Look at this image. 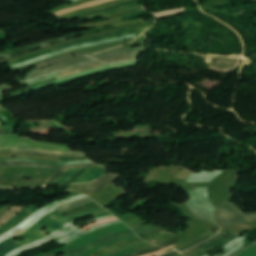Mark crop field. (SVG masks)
<instances>
[{"mask_svg":"<svg viewBox=\"0 0 256 256\" xmlns=\"http://www.w3.org/2000/svg\"><path fill=\"white\" fill-rule=\"evenodd\" d=\"M46 232L42 231V230H39L35 227H30L28 230L12 237L11 239L13 240L15 237H23L25 238L26 240L21 242V241H18L16 242L17 244L21 245V246H24L30 242H33V241H36L38 239H42L44 238L46 235H45ZM14 241V240H13Z\"/></svg>","mask_w":256,"mask_h":256,"instance_id":"crop-field-11","label":"crop field"},{"mask_svg":"<svg viewBox=\"0 0 256 256\" xmlns=\"http://www.w3.org/2000/svg\"><path fill=\"white\" fill-rule=\"evenodd\" d=\"M135 3H137L136 0H130V1H126V2H123V3H120V4H116V5L107 7V8L98 9V10H94V11H91V12L71 16V17L66 18V20H73V19L80 18V17H83V16H88V15H92V14H95V13H99V12H103V11H107V10H111V9H115V8H119V7H123V6H127V5H131V4H135Z\"/></svg>","mask_w":256,"mask_h":256,"instance_id":"crop-field-21","label":"crop field"},{"mask_svg":"<svg viewBox=\"0 0 256 256\" xmlns=\"http://www.w3.org/2000/svg\"><path fill=\"white\" fill-rule=\"evenodd\" d=\"M188 192L192 199L186 202V204L192 213L215 224L213 220V211L215 208L209 202L206 187H199L194 191L188 190Z\"/></svg>","mask_w":256,"mask_h":256,"instance_id":"crop-field-2","label":"crop field"},{"mask_svg":"<svg viewBox=\"0 0 256 256\" xmlns=\"http://www.w3.org/2000/svg\"><path fill=\"white\" fill-rule=\"evenodd\" d=\"M145 15H148V13H146L145 11H142V12H138L136 14L125 16V17H122V18H123V20H129V19H134V18H138V17H141V16H145Z\"/></svg>","mask_w":256,"mask_h":256,"instance_id":"crop-field-38","label":"crop field"},{"mask_svg":"<svg viewBox=\"0 0 256 256\" xmlns=\"http://www.w3.org/2000/svg\"><path fill=\"white\" fill-rule=\"evenodd\" d=\"M11 160H24V161H33V162L57 164V165L83 164V163L93 162L91 160H82V161H73V162H51V161L33 160V159H24V158H4V159H2V161H11Z\"/></svg>","mask_w":256,"mask_h":256,"instance_id":"crop-field-22","label":"crop field"},{"mask_svg":"<svg viewBox=\"0 0 256 256\" xmlns=\"http://www.w3.org/2000/svg\"><path fill=\"white\" fill-rule=\"evenodd\" d=\"M135 61H137V60L122 61V62H116V63H111V64L131 63V62H135Z\"/></svg>","mask_w":256,"mask_h":256,"instance_id":"crop-field-56","label":"crop field"},{"mask_svg":"<svg viewBox=\"0 0 256 256\" xmlns=\"http://www.w3.org/2000/svg\"><path fill=\"white\" fill-rule=\"evenodd\" d=\"M85 200H89V198L82 199V200H79V201L70 203V204H68V205H65V206H62V207H60V208H57V210L59 211V210H61V209H63V208H66V207H68V206H70V205H73V204H76V203H80V202H83V201H85Z\"/></svg>","mask_w":256,"mask_h":256,"instance_id":"crop-field-49","label":"crop field"},{"mask_svg":"<svg viewBox=\"0 0 256 256\" xmlns=\"http://www.w3.org/2000/svg\"><path fill=\"white\" fill-rule=\"evenodd\" d=\"M136 58H137V57H125V58L107 60V61H103V62H105V63H110V62H116V61H122V60H130V59H136Z\"/></svg>","mask_w":256,"mask_h":256,"instance_id":"crop-field-45","label":"crop field"},{"mask_svg":"<svg viewBox=\"0 0 256 256\" xmlns=\"http://www.w3.org/2000/svg\"><path fill=\"white\" fill-rule=\"evenodd\" d=\"M131 252H133V249L127 250V251H125V252H123V253H120V254H118V255H115V256H124V255H126V254H128V253H131Z\"/></svg>","mask_w":256,"mask_h":256,"instance_id":"crop-field-55","label":"crop field"},{"mask_svg":"<svg viewBox=\"0 0 256 256\" xmlns=\"http://www.w3.org/2000/svg\"><path fill=\"white\" fill-rule=\"evenodd\" d=\"M138 6H140L139 3H138V4H135V5H131V6H127V7H123V8H119V9H115V10H111V11H108V12H104V13H101V14H97V15H93V16H88V17H84V18L101 17V16H104V15L116 13V12H119V11H122V10L130 9V8H134V7H138Z\"/></svg>","mask_w":256,"mask_h":256,"instance_id":"crop-field-31","label":"crop field"},{"mask_svg":"<svg viewBox=\"0 0 256 256\" xmlns=\"http://www.w3.org/2000/svg\"><path fill=\"white\" fill-rule=\"evenodd\" d=\"M10 152L24 153V154H36V155H43V156H56V157H81V156H86V154L62 155V154L42 153V152H36V151H30V150H10Z\"/></svg>","mask_w":256,"mask_h":256,"instance_id":"crop-field-23","label":"crop field"},{"mask_svg":"<svg viewBox=\"0 0 256 256\" xmlns=\"http://www.w3.org/2000/svg\"><path fill=\"white\" fill-rule=\"evenodd\" d=\"M149 27L150 26L139 28V29H135V30H131V31H126V32L114 33V34H110V35H106V36H102V37H98V38L87 39V40H83V41H79V42H75V43L66 44V45H63L61 47H58V48H55V49H51V50H48V51H45V52H42V53L30 56V57L24 58V59L8 62V65L20 63V62H23V61H26V60H29V59L41 56V55L49 53V52L57 51V50H60V49H63V48L69 47V46L77 45V44H82V43L92 42V41H96V40L113 38V37H117V36H121V35H126V34L136 33V32H140V31H145Z\"/></svg>","mask_w":256,"mask_h":256,"instance_id":"crop-field-6","label":"crop field"},{"mask_svg":"<svg viewBox=\"0 0 256 256\" xmlns=\"http://www.w3.org/2000/svg\"><path fill=\"white\" fill-rule=\"evenodd\" d=\"M86 196L81 194L79 196H74V197H69V198H65L62 200H59L57 202L48 204L44 207H42L41 209H39L37 212H35L33 215H31L25 222H23L21 225L15 227L14 229H12L11 231L3 234L0 236V242H2L5 239H8L20 232H22L23 230L27 229L28 227L32 226L33 224H35L36 222H38L43 216L55 211V208L68 204L70 202L85 198Z\"/></svg>","mask_w":256,"mask_h":256,"instance_id":"crop-field-3","label":"crop field"},{"mask_svg":"<svg viewBox=\"0 0 256 256\" xmlns=\"http://www.w3.org/2000/svg\"><path fill=\"white\" fill-rule=\"evenodd\" d=\"M96 207H100V206L96 205V206H93V207L85 208V209H82V210H80L78 212H75V213H73L71 215H67V217L83 213L85 211L91 210V209L96 208Z\"/></svg>","mask_w":256,"mask_h":256,"instance_id":"crop-field-47","label":"crop field"},{"mask_svg":"<svg viewBox=\"0 0 256 256\" xmlns=\"http://www.w3.org/2000/svg\"><path fill=\"white\" fill-rule=\"evenodd\" d=\"M166 250H168V249L160 250V251H157V252H155V253H151V254L144 255V256H157V255H159V254L164 253Z\"/></svg>","mask_w":256,"mask_h":256,"instance_id":"crop-field-51","label":"crop field"},{"mask_svg":"<svg viewBox=\"0 0 256 256\" xmlns=\"http://www.w3.org/2000/svg\"><path fill=\"white\" fill-rule=\"evenodd\" d=\"M149 227H151V226L149 224H147L145 226H141V227H138V228L134 229V232L137 233V232H139L143 229L149 228Z\"/></svg>","mask_w":256,"mask_h":256,"instance_id":"crop-field-52","label":"crop field"},{"mask_svg":"<svg viewBox=\"0 0 256 256\" xmlns=\"http://www.w3.org/2000/svg\"><path fill=\"white\" fill-rule=\"evenodd\" d=\"M103 66H108L107 64H103V65H99V66H95V67H91V68H87V69H84V70H81V71H77V72H73V73H69V74H65L59 78H57L56 80L58 79H61V78H64V77H68V76H71V75H74V74H77V73H80V72H83V71H87V70H91V69H95V68H99V67H103Z\"/></svg>","mask_w":256,"mask_h":256,"instance_id":"crop-field-37","label":"crop field"},{"mask_svg":"<svg viewBox=\"0 0 256 256\" xmlns=\"http://www.w3.org/2000/svg\"><path fill=\"white\" fill-rule=\"evenodd\" d=\"M106 172V168H92L87 174H85L83 177H81L79 180H77L75 183H84V182H90L93 181L102 175H104Z\"/></svg>","mask_w":256,"mask_h":256,"instance_id":"crop-field-20","label":"crop field"},{"mask_svg":"<svg viewBox=\"0 0 256 256\" xmlns=\"http://www.w3.org/2000/svg\"><path fill=\"white\" fill-rule=\"evenodd\" d=\"M72 2H74V1H77V0H71Z\"/></svg>","mask_w":256,"mask_h":256,"instance_id":"crop-field-63","label":"crop field"},{"mask_svg":"<svg viewBox=\"0 0 256 256\" xmlns=\"http://www.w3.org/2000/svg\"><path fill=\"white\" fill-rule=\"evenodd\" d=\"M169 248H171V247H169Z\"/></svg>","mask_w":256,"mask_h":256,"instance_id":"crop-field-67","label":"crop field"},{"mask_svg":"<svg viewBox=\"0 0 256 256\" xmlns=\"http://www.w3.org/2000/svg\"><path fill=\"white\" fill-rule=\"evenodd\" d=\"M134 37H136L135 34L130 35V36H125V37H120V38H114V39H108V40H102V41L87 43V44H83V45H78V46L67 48V49H64V50H61V51L54 52L52 54H48V55H45V56H42V57H38V58L29 60V61H26V62H23V63H20V64L11 65L10 68L11 69L17 68V67H20V66H23V65H26V64H30V63H33V62H36V61H39V60H42V59H46V58H49V57L61 54V53L66 52V51L75 50V49H79V48H83V47H88V46H92V45H97V44H102V43H108V42H114V41L134 38Z\"/></svg>","mask_w":256,"mask_h":256,"instance_id":"crop-field-7","label":"crop field"},{"mask_svg":"<svg viewBox=\"0 0 256 256\" xmlns=\"http://www.w3.org/2000/svg\"><path fill=\"white\" fill-rule=\"evenodd\" d=\"M66 170L58 169L55 174L43 185H52L55 181H57L64 173Z\"/></svg>","mask_w":256,"mask_h":256,"instance_id":"crop-field-32","label":"crop field"},{"mask_svg":"<svg viewBox=\"0 0 256 256\" xmlns=\"http://www.w3.org/2000/svg\"><path fill=\"white\" fill-rule=\"evenodd\" d=\"M134 55H139V53L138 54H132V55H121V56L103 58V59H99V60L102 61V60H106V59H113V58H119V57H125V56H134Z\"/></svg>","mask_w":256,"mask_h":256,"instance_id":"crop-field-53","label":"crop field"},{"mask_svg":"<svg viewBox=\"0 0 256 256\" xmlns=\"http://www.w3.org/2000/svg\"><path fill=\"white\" fill-rule=\"evenodd\" d=\"M99 64H103V63H102V62H98V63H93V64L85 65V66H83V67H80V68H77V69H74V70H70V71L61 73V75L65 74V73H68V72L75 71V70H79V69H81V68H87V67H91V66H95V65H99Z\"/></svg>","mask_w":256,"mask_h":256,"instance_id":"crop-field-46","label":"crop field"},{"mask_svg":"<svg viewBox=\"0 0 256 256\" xmlns=\"http://www.w3.org/2000/svg\"><path fill=\"white\" fill-rule=\"evenodd\" d=\"M111 213H112V214H115V212H114V211H111Z\"/></svg>","mask_w":256,"mask_h":256,"instance_id":"crop-field-62","label":"crop field"},{"mask_svg":"<svg viewBox=\"0 0 256 256\" xmlns=\"http://www.w3.org/2000/svg\"><path fill=\"white\" fill-rule=\"evenodd\" d=\"M0 117H2V116H0Z\"/></svg>","mask_w":256,"mask_h":256,"instance_id":"crop-field-66","label":"crop field"},{"mask_svg":"<svg viewBox=\"0 0 256 256\" xmlns=\"http://www.w3.org/2000/svg\"><path fill=\"white\" fill-rule=\"evenodd\" d=\"M145 51H146V47H135V48L122 49V50H115V51H110V52H103L100 54L91 55L90 57H94V58L98 59V58H103V57L136 53V52H145Z\"/></svg>","mask_w":256,"mask_h":256,"instance_id":"crop-field-18","label":"crop field"},{"mask_svg":"<svg viewBox=\"0 0 256 256\" xmlns=\"http://www.w3.org/2000/svg\"><path fill=\"white\" fill-rule=\"evenodd\" d=\"M158 229H160V228L157 227V226H155V227H153V228L146 229V230H144V231H142V232H139V233H137V235H138L139 237H141L142 235H146V234L151 233V232H154V231H156V230H158Z\"/></svg>","mask_w":256,"mask_h":256,"instance_id":"crop-field-42","label":"crop field"},{"mask_svg":"<svg viewBox=\"0 0 256 256\" xmlns=\"http://www.w3.org/2000/svg\"><path fill=\"white\" fill-rule=\"evenodd\" d=\"M89 1H92V0H79V1H77L75 3H73V4H70V5H67V6L60 7V8H57L55 10H52L51 13H54V12H57V11H60V10H63V9L69 8V7L81 5V4L87 3Z\"/></svg>","mask_w":256,"mask_h":256,"instance_id":"crop-field-35","label":"crop field"},{"mask_svg":"<svg viewBox=\"0 0 256 256\" xmlns=\"http://www.w3.org/2000/svg\"><path fill=\"white\" fill-rule=\"evenodd\" d=\"M0 128H6V126H0Z\"/></svg>","mask_w":256,"mask_h":256,"instance_id":"crop-field-60","label":"crop field"},{"mask_svg":"<svg viewBox=\"0 0 256 256\" xmlns=\"http://www.w3.org/2000/svg\"><path fill=\"white\" fill-rule=\"evenodd\" d=\"M93 62H97V60L90 61V62H86V63H82V64H78V65L71 66V67H68V68H65V69H61V70H58V71H55V72H51V73H48V74L39 76V77H37V78L31 79V80H28V81H25V82L28 83V82L37 80V79H39V78H45V77H47V76L54 75V74H57V73H61V72L70 70V69H72V68L79 67V66H83V65H85V64H89V63H93Z\"/></svg>","mask_w":256,"mask_h":256,"instance_id":"crop-field-29","label":"crop field"},{"mask_svg":"<svg viewBox=\"0 0 256 256\" xmlns=\"http://www.w3.org/2000/svg\"><path fill=\"white\" fill-rule=\"evenodd\" d=\"M160 249H164V248L156 247V248H152V249H147V250H143V251L134 252V253H131L127 256H140V255L147 254V253H150V252H154V251H157V250H160Z\"/></svg>","mask_w":256,"mask_h":256,"instance_id":"crop-field-36","label":"crop field"},{"mask_svg":"<svg viewBox=\"0 0 256 256\" xmlns=\"http://www.w3.org/2000/svg\"><path fill=\"white\" fill-rule=\"evenodd\" d=\"M123 1H126V0H117V1L110 2V3L102 4V5H98V6H94V7H89V8L84 9V10H79V11L71 12V13L65 14V15H63V16H60L59 19L64 18V17L71 16V15H75V14L87 12V11H90V10H94V9H98V8L107 7V6H110V5L119 3V2H123Z\"/></svg>","mask_w":256,"mask_h":256,"instance_id":"crop-field-25","label":"crop field"},{"mask_svg":"<svg viewBox=\"0 0 256 256\" xmlns=\"http://www.w3.org/2000/svg\"><path fill=\"white\" fill-rule=\"evenodd\" d=\"M90 60H94V59L88 58V57H85V56L75 58L71 61H68V62H65V63H62V64H58V65H55V66H52V67H49V68H46V69H40L38 71L32 72L28 75V77L26 79H30V78H33V77H36V76H39V75H42V74H45V73H48V72H51V71H55V70H58V69H61V68H65V67H68V66H71V65H75V64L90 61Z\"/></svg>","mask_w":256,"mask_h":256,"instance_id":"crop-field-9","label":"crop field"},{"mask_svg":"<svg viewBox=\"0 0 256 256\" xmlns=\"http://www.w3.org/2000/svg\"><path fill=\"white\" fill-rule=\"evenodd\" d=\"M239 233H232V232H228L225 236L221 237L220 239L214 241L211 244H208L204 247H202L201 249H199L198 253L192 255V256H202L210 251H212L213 249L227 243L228 241H230L231 239H233L234 237H236Z\"/></svg>","mask_w":256,"mask_h":256,"instance_id":"crop-field-13","label":"crop field"},{"mask_svg":"<svg viewBox=\"0 0 256 256\" xmlns=\"http://www.w3.org/2000/svg\"><path fill=\"white\" fill-rule=\"evenodd\" d=\"M213 236H215L214 233L211 234V235H209V236H207V237H205V238H203V239L200 240L199 242L194 243V244H191V245H189V246H187V247H185V248H183V249H181V250H182V251L188 250V249L192 248L193 246H195V245H197V244H199V243H201V242H203V241H205V240H207V239H209V238H211V237H213Z\"/></svg>","mask_w":256,"mask_h":256,"instance_id":"crop-field-41","label":"crop field"},{"mask_svg":"<svg viewBox=\"0 0 256 256\" xmlns=\"http://www.w3.org/2000/svg\"><path fill=\"white\" fill-rule=\"evenodd\" d=\"M177 255H179V253L177 251H172L169 254L162 255V256H177Z\"/></svg>","mask_w":256,"mask_h":256,"instance_id":"crop-field-54","label":"crop field"},{"mask_svg":"<svg viewBox=\"0 0 256 256\" xmlns=\"http://www.w3.org/2000/svg\"><path fill=\"white\" fill-rule=\"evenodd\" d=\"M110 1H113V0H98V1H94V2H89V3L81 5V6H77V7H73V8H69V9L57 12V13H55V15L59 16V15H62V14H65V13H68V12H71L74 10H78V9L89 7L91 5L106 3V2H110Z\"/></svg>","mask_w":256,"mask_h":256,"instance_id":"crop-field-26","label":"crop field"},{"mask_svg":"<svg viewBox=\"0 0 256 256\" xmlns=\"http://www.w3.org/2000/svg\"><path fill=\"white\" fill-rule=\"evenodd\" d=\"M15 135H19V134H15ZM0 136H12V135H0Z\"/></svg>","mask_w":256,"mask_h":256,"instance_id":"crop-field-59","label":"crop field"},{"mask_svg":"<svg viewBox=\"0 0 256 256\" xmlns=\"http://www.w3.org/2000/svg\"><path fill=\"white\" fill-rule=\"evenodd\" d=\"M22 209L19 207H12L1 219H0V226L8 222L10 219L15 217Z\"/></svg>","mask_w":256,"mask_h":256,"instance_id":"crop-field-27","label":"crop field"},{"mask_svg":"<svg viewBox=\"0 0 256 256\" xmlns=\"http://www.w3.org/2000/svg\"><path fill=\"white\" fill-rule=\"evenodd\" d=\"M111 217H114V216L110 215V216H105V217L93 219L91 221L86 222V224L80 226L79 228H81V227H83V226H85L87 224L93 223L95 221H98V220H101V219H105V218H111ZM73 223H75V221L69 223L68 225L63 226L62 228H60V229H58V230H56L54 232H52L46 238H44V239H42L40 241H37V242H33V243H31V244H29L27 246L21 247V248L15 250V251L9 253L7 256H15V255H17L19 253H22V252H25L27 250H30V249L36 248L38 246L44 245V244H46V243H48V242H50V241H52V240H54V239H56V238H58L60 236H63L65 234H67V233L73 231L74 229L78 228V227L73 226L72 225Z\"/></svg>","mask_w":256,"mask_h":256,"instance_id":"crop-field-4","label":"crop field"},{"mask_svg":"<svg viewBox=\"0 0 256 256\" xmlns=\"http://www.w3.org/2000/svg\"><path fill=\"white\" fill-rule=\"evenodd\" d=\"M39 208L34 206H29L26 209H24L20 214H18L15 218H13L11 221L6 223L4 226L0 228V234L8 231L9 229L17 226L21 222H23L27 217H29L31 214H33L36 210Z\"/></svg>","mask_w":256,"mask_h":256,"instance_id":"crop-field-10","label":"crop field"},{"mask_svg":"<svg viewBox=\"0 0 256 256\" xmlns=\"http://www.w3.org/2000/svg\"><path fill=\"white\" fill-rule=\"evenodd\" d=\"M104 215H109L108 213H105V214H100V215H96V216H93V217H100V216H104Z\"/></svg>","mask_w":256,"mask_h":256,"instance_id":"crop-field-57","label":"crop field"},{"mask_svg":"<svg viewBox=\"0 0 256 256\" xmlns=\"http://www.w3.org/2000/svg\"><path fill=\"white\" fill-rule=\"evenodd\" d=\"M91 168H84L79 170L78 172L75 173V175L73 177H71L70 179H68L65 183L63 184H67V183H73L74 181H76L78 178H80L82 175H84L86 172H88Z\"/></svg>","mask_w":256,"mask_h":256,"instance_id":"crop-field-33","label":"crop field"},{"mask_svg":"<svg viewBox=\"0 0 256 256\" xmlns=\"http://www.w3.org/2000/svg\"><path fill=\"white\" fill-rule=\"evenodd\" d=\"M119 221L108 222V223H105V224H102V225H98V226L90 228V229H88L84 232H82L80 229H76L74 232L69 233V234L59 238L57 241H55V243L65 245V244H67V243H69V242H71V241H73V240H75V239H77V238H79V237H81V236L99 228V227H104V226H108V225H111V224L120 223Z\"/></svg>","mask_w":256,"mask_h":256,"instance_id":"crop-field-12","label":"crop field"},{"mask_svg":"<svg viewBox=\"0 0 256 256\" xmlns=\"http://www.w3.org/2000/svg\"><path fill=\"white\" fill-rule=\"evenodd\" d=\"M2 166H34V167H53V168L104 167L103 165L97 164V163L83 164V165L56 166V165H46V164H38V163L23 162V161L2 162Z\"/></svg>","mask_w":256,"mask_h":256,"instance_id":"crop-field-8","label":"crop field"},{"mask_svg":"<svg viewBox=\"0 0 256 256\" xmlns=\"http://www.w3.org/2000/svg\"><path fill=\"white\" fill-rule=\"evenodd\" d=\"M224 171H213V172H204L201 171L199 174L192 173V175L187 179V182H210L218 175Z\"/></svg>","mask_w":256,"mask_h":256,"instance_id":"crop-field-17","label":"crop field"},{"mask_svg":"<svg viewBox=\"0 0 256 256\" xmlns=\"http://www.w3.org/2000/svg\"><path fill=\"white\" fill-rule=\"evenodd\" d=\"M2 167H0V170H1Z\"/></svg>","mask_w":256,"mask_h":256,"instance_id":"crop-field-65","label":"crop field"},{"mask_svg":"<svg viewBox=\"0 0 256 256\" xmlns=\"http://www.w3.org/2000/svg\"><path fill=\"white\" fill-rule=\"evenodd\" d=\"M79 169H69L63 177H61L54 185L62 184L64 181H66L68 178L74 175L76 171Z\"/></svg>","mask_w":256,"mask_h":256,"instance_id":"crop-field-34","label":"crop field"},{"mask_svg":"<svg viewBox=\"0 0 256 256\" xmlns=\"http://www.w3.org/2000/svg\"><path fill=\"white\" fill-rule=\"evenodd\" d=\"M130 234H134V233L132 231H129V232H125V233H121V234H117V235H111V236L104 237V238H102V239H100V240H98V241H96V242H94V243H92V244H90L86 247L81 248L80 250H78V251H76V252H74V253H72L68 256H78L81 253H83V252H85V251H87V250H89V249H91V248H93V247H95V246H97L101 243H104L108 240L115 239V238L122 237V236H126V235H130Z\"/></svg>","mask_w":256,"mask_h":256,"instance_id":"crop-field-19","label":"crop field"},{"mask_svg":"<svg viewBox=\"0 0 256 256\" xmlns=\"http://www.w3.org/2000/svg\"><path fill=\"white\" fill-rule=\"evenodd\" d=\"M119 178L117 175L109 174L106 175L105 177L95 181L92 183L90 186H88L85 191H90V192H95L98 193L101 191L104 187L108 186L109 184L113 183Z\"/></svg>","mask_w":256,"mask_h":256,"instance_id":"crop-field-16","label":"crop field"},{"mask_svg":"<svg viewBox=\"0 0 256 256\" xmlns=\"http://www.w3.org/2000/svg\"><path fill=\"white\" fill-rule=\"evenodd\" d=\"M140 10H143V8L138 7V8L122 11V12H119V13H116V14H113V15L105 16L104 19H112V18H116V17L128 15V14H132V13L138 12Z\"/></svg>","mask_w":256,"mask_h":256,"instance_id":"crop-field-30","label":"crop field"},{"mask_svg":"<svg viewBox=\"0 0 256 256\" xmlns=\"http://www.w3.org/2000/svg\"><path fill=\"white\" fill-rule=\"evenodd\" d=\"M254 245H256V241H254V242L251 243L250 245H248V246H246V247L240 249L239 251H237V252L231 254L230 256H235V255H237V254H239V253H241V252H243V251L249 249L250 247H252V246H254Z\"/></svg>","mask_w":256,"mask_h":256,"instance_id":"crop-field-44","label":"crop field"},{"mask_svg":"<svg viewBox=\"0 0 256 256\" xmlns=\"http://www.w3.org/2000/svg\"><path fill=\"white\" fill-rule=\"evenodd\" d=\"M177 240H178V238L173 239V240H171V241H169V242H167V243H164V244H162V245H160V246H162V247H169V246H172V245L176 244Z\"/></svg>","mask_w":256,"mask_h":256,"instance_id":"crop-field-48","label":"crop field"},{"mask_svg":"<svg viewBox=\"0 0 256 256\" xmlns=\"http://www.w3.org/2000/svg\"><path fill=\"white\" fill-rule=\"evenodd\" d=\"M0 119H5V118H0Z\"/></svg>","mask_w":256,"mask_h":256,"instance_id":"crop-field-64","label":"crop field"},{"mask_svg":"<svg viewBox=\"0 0 256 256\" xmlns=\"http://www.w3.org/2000/svg\"><path fill=\"white\" fill-rule=\"evenodd\" d=\"M91 201H92V200L85 201V202H83V203L73 205V206H71V207H69V208H67V209H65V210L60 211V212L63 213V212H65V211H67V210L73 209V208H75V207H78V206H80V205H83V204H85V203H87V202H91Z\"/></svg>","mask_w":256,"mask_h":256,"instance_id":"crop-field-50","label":"crop field"},{"mask_svg":"<svg viewBox=\"0 0 256 256\" xmlns=\"http://www.w3.org/2000/svg\"><path fill=\"white\" fill-rule=\"evenodd\" d=\"M229 200L216 210L214 219L217 224L225 227H234L256 221V213L245 215L239 207L230 203Z\"/></svg>","mask_w":256,"mask_h":256,"instance_id":"crop-field-1","label":"crop field"},{"mask_svg":"<svg viewBox=\"0 0 256 256\" xmlns=\"http://www.w3.org/2000/svg\"><path fill=\"white\" fill-rule=\"evenodd\" d=\"M21 246L15 244L12 240H6L0 244V256H5L7 253Z\"/></svg>","mask_w":256,"mask_h":256,"instance_id":"crop-field-24","label":"crop field"},{"mask_svg":"<svg viewBox=\"0 0 256 256\" xmlns=\"http://www.w3.org/2000/svg\"><path fill=\"white\" fill-rule=\"evenodd\" d=\"M7 87V86H0V88Z\"/></svg>","mask_w":256,"mask_h":256,"instance_id":"crop-field-61","label":"crop field"},{"mask_svg":"<svg viewBox=\"0 0 256 256\" xmlns=\"http://www.w3.org/2000/svg\"><path fill=\"white\" fill-rule=\"evenodd\" d=\"M247 237H249V235H245L242 238L237 237L234 240H232L231 242L227 243L225 246H223V247H221V248H219V249H217V250H215L211 253H216L217 251H220V250L224 249L223 250V252H224L223 255H221L220 252H219L215 256H228L231 253H233V252L237 251L238 249L242 248V243H243L244 239L247 238ZM211 253H209L205 256H210Z\"/></svg>","mask_w":256,"mask_h":256,"instance_id":"crop-field-14","label":"crop field"},{"mask_svg":"<svg viewBox=\"0 0 256 256\" xmlns=\"http://www.w3.org/2000/svg\"><path fill=\"white\" fill-rule=\"evenodd\" d=\"M166 231H168V230L165 229V228H162L161 230H159V231H157V232H155V233H152V234L146 235V236H144V237H141V239L146 240V239H149V238H151V237H153V236H156V235H158V234H160V233H162V232H166Z\"/></svg>","mask_w":256,"mask_h":256,"instance_id":"crop-field-43","label":"crop field"},{"mask_svg":"<svg viewBox=\"0 0 256 256\" xmlns=\"http://www.w3.org/2000/svg\"><path fill=\"white\" fill-rule=\"evenodd\" d=\"M10 88H11V86H10V87H7V88H4V89H1L0 92H1V91H5V90L10 89Z\"/></svg>","mask_w":256,"mask_h":256,"instance_id":"crop-field-58","label":"crop field"},{"mask_svg":"<svg viewBox=\"0 0 256 256\" xmlns=\"http://www.w3.org/2000/svg\"><path fill=\"white\" fill-rule=\"evenodd\" d=\"M81 35H83L82 32L76 33V34H72V35H68V36L59 37V38H56V39H53V40H50V41L41 43V44H39V45L30 47V48H28V49L22 50V51H20V52H16V53H12V54L3 55V56L0 57V59L11 58V57H14V56L19 55V54H22V53L30 52V51L39 49V48L44 47V46H47V45H50V44H53V43H56V42H59V41L65 40V39H69V38L81 36Z\"/></svg>","mask_w":256,"mask_h":256,"instance_id":"crop-field-15","label":"crop field"},{"mask_svg":"<svg viewBox=\"0 0 256 256\" xmlns=\"http://www.w3.org/2000/svg\"><path fill=\"white\" fill-rule=\"evenodd\" d=\"M223 235H225V232H223V233L220 234L219 236H217V237H215V238H213V239H211V240H209V241H207V242H205V243H203V244H201V245H199V246H197V247L191 249L190 251L183 252V254L188 253V252H192V251H194V250H196V249H198V248H200V247H202V246H204V245H206V244H208V243H210V242H212V241H214V240L220 238V237L223 236Z\"/></svg>","mask_w":256,"mask_h":256,"instance_id":"crop-field-39","label":"crop field"},{"mask_svg":"<svg viewBox=\"0 0 256 256\" xmlns=\"http://www.w3.org/2000/svg\"><path fill=\"white\" fill-rule=\"evenodd\" d=\"M99 210H103V208L91 210V211L85 212L83 214L74 216V217L69 218V219L65 218L59 212L55 211L52 214L44 217L38 224L35 225V227L41 229V228L47 226V228H48L47 232L51 233L52 231H54V230L62 227L63 225L71 222V220H73L75 218H78V217L83 216L85 214L93 213V212H96V211H99Z\"/></svg>","mask_w":256,"mask_h":256,"instance_id":"crop-field-5","label":"crop field"},{"mask_svg":"<svg viewBox=\"0 0 256 256\" xmlns=\"http://www.w3.org/2000/svg\"><path fill=\"white\" fill-rule=\"evenodd\" d=\"M137 241H141V239L137 238V239H133V240H129V241H125V242H121V243H118V244H114V245L108 246V247L100 250L99 252L91 255V256H99V255H102V254L108 252L109 250H111V249H113L115 247L126 245V244H130V243L137 242Z\"/></svg>","mask_w":256,"mask_h":256,"instance_id":"crop-field-28","label":"crop field"},{"mask_svg":"<svg viewBox=\"0 0 256 256\" xmlns=\"http://www.w3.org/2000/svg\"><path fill=\"white\" fill-rule=\"evenodd\" d=\"M114 220H117L116 218H112V219H106V220H103V221H99V222H96V223H93V224H90L88 226H85L83 228H81L82 231L92 227V226H95V225H98V224H101V223H105V222H108V221H114Z\"/></svg>","mask_w":256,"mask_h":256,"instance_id":"crop-field-40","label":"crop field"}]
</instances>
